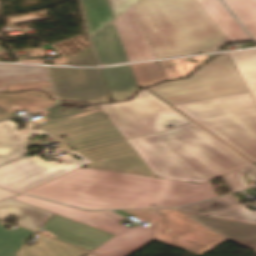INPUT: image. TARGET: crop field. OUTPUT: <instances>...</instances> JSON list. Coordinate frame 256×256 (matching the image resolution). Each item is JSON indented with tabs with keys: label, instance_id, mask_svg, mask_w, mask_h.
Wrapping results in <instances>:
<instances>
[{
	"label": "crop field",
	"instance_id": "crop-field-3",
	"mask_svg": "<svg viewBox=\"0 0 256 256\" xmlns=\"http://www.w3.org/2000/svg\"><path fill=\"white\" fill-rule=\"evenodd\" d=\"M127 141L158 178L204 183L251 165L194 123Z\"/></svg>",
	"mask_w": 256,
	"mask_h": 256
},
{
	"label": "crop field",
	"instance_id": "crop-field-2",
	"mask_svg": "<svg viewBox=\"0 0 256 256\" xmlns=\"http://www.w3.org/2000/svg\"><path fill=\"white\" fill-rule=\"evenodd\" d=\"M12 199L116 235L92 252L100 256H129L153 240L202 256L227 241L175 209L122 211L153 224L128 229L119 224L126 219L111 211L86 212L24 195Z\"/></svg>",
	"mask_w": 256,
	"mask_h": 256
},
{
	"label": "crop field",
	"instance_id": "crop-field-15",
	"mask_svg": "<svg viewBox=\"0 0 256 256\" xmlns=\"http://www.w3.org/2000/svg\"><path fill=\"white\" fill-rule=\"evenodd\" d=\"M101 65L128 62L113 22L91 37Z\"/></svg>",
	"mask_w": 256,
	"mask_h": 256
},
{
	"label": "crop field",
	"instance_id": "crop-field-30",
	"mask_svg": "<svg viewBox=\"0 0 256 256\" xmlns=\"http://www.w3.org/2000/svg\"><path fill=\"white\" fill-rule=\"evenodd\" d=\"M28 88H35L45 91L51 98H55L54 91L50 82L42 83H30V84H18V85H6V91H21Z\"/></svg>",
	"mask_w": 256,
	"mask_h": 256
},
{
	"label": "crop field",
	"instance_id": "crop-field-38",
	"mask_svg": "<svg viewBox=\"0 0 256 256\" xmlns=\"http://www.w3.org/2000/svg\"><path fill=\"white\" fill-rule=\"evenodd\" d=\"M89 256H97V255L91 254V255H89Z\"/></svg>",
	"mask_w": 256,
	"mask_h": 256
},
{
	"label": "crop field",
	"instance_id": "crop-field-4",
	"mask_svg": "<svg viewBox=\"0 0 256 256\" xmlns=\"http://www.w3.org/2000/svg\"><path fill=\"white\" fill-rule=\"evenodd\" d=\"M133 8L157 58L218 51L228 42L195 0H109Z\"/></svg>",
	"mask_w": 256,
	"mask_h": 256
},
{
	"label": "crop field",
	"instance_id": "crop-field-32",
	"mask_svg": "<svg viewBox=\"0 0 256 256\" xmlns=\"http://www.w3.org/2000/svg\"><path fill=\"white\" fill-rule=\"evenodd\" d=\"M159 65H160L167 80L178 78L170 60L161 61V62H159Z\"/></svg>",
	"mask_w": 256,
	"mask_h": 256
},
{
	"label": "crop field",
	"instance_id": "crop-field-28",
	"mask_svg": "<svg viewBox=\"0 0 256 256\" xmlns=\"http://www.w3.org/2000/svg\"><path fill=\"white\" fill-rule=\"evenodd\" d=\"M227 208H231V206H229L223 200L217 198L189 206L180 207L179 209L188 213L208 215Z\"/></svg>",
	"mask_w": 256,
	"mask_h": 256
},
{
	"label": "crop field",
	"instance_id": "crop-field-16",
	"mask_svg": "<svg viewBox=\"0 0 256 256\" xmlns=\"http://www.w3.org/2000/svg\"><path fill=\"white\" fill-rule=\"evenodd\" d=\"M228 41H252L219 0H196Z\"/></svg>",
	"mask_w": 256,
	"mask_h": 256
},
{
	"label": "crop field",
	"instance_id": "crop-field-35",
	"mask_svg": "<svg viewBox=\"0 0 256 256\" xmlns=\"http://www.w3.org/2000/svg\"><path fill=\"white\" fill-rule=\"evenodd\" d=\"M16 195H18V194L0 189V202L7 199V198H12Z\"/></svg>",
	"mask_w": 256,
	"mask_h": 256
},
{
	"label": "crop field",
	"instance_id": "crop-field-37",
	"mask_svg": "<svg viewBox=\"0 0 256 256\" xmlns=\"http://www.w3.org/2000/svg\"><path fill=\"white\" fill-rule=\"evenodd\" d=\"M222 178H223V181H224L225 185H226L227 188L229 189L230 193H232L233 190H232V188L230 187V185H229L228 181L226 180L225 176H223Z\"/></svg>",
	"mask_w": 256,
	"mask_h": 256
},
{
	"label": "crop field",
	"instance_id": "crop-field-17",
	"mask_svg": "<svg viewBox=\"0 0 256 256\" xmlns=\"http://www.w3.org/2000/svg\"><path fill=\"white\" fill-rule=\"evenodd\" d=\"M101 72L113 102L128 99L138 90L130 65L103 68Z\"/></svg>",
	"mask_w": 256,
	"mask_h": 256
},
{
	"label": "crop field",
	"instance_id": "crop-field-39",
	"mask_svg": "<svg viewBox=\"0 0 256 256\" xmlns=\"http://www.w3.org/2000/svg\"><path fill=\"white\" fill-rule=\"evenodd\" d=\"M0 51H2V49L0 48Z\"/></svg>",
	"mask_w": 256,
	"mask_h": 256
},
{
	"label": "crop field",
	"instance_id": "crop-field-20",
	"mask_svg": "<svg viewBox=\"0 0 256 256\" xmlns=\"http://www.w3.org/2000/svg\"><path fill=\"white\" fill-rule=\"evenodd\" d=\"M49 81L44 66L0 64V91L5 84Z\"/></svg>",
	"mask_w": 256,
	"mask_h": 256
},
{
	"label": "crop field",
	"instance_id": "crop-field-27",
	"mask_svg": "<svg viewBox=\"0 0 256 256\" xmlns=\"http://www.w3.org/2000/svg\"><path fill=\"white\" fill-rule=\"evenodd\" d=\"M50 256H87L84 250L50 239L44 235L35 236Z\"/></svg>",
	"mask_w": 256,
	"mask_h": 256
},
{
	"label": "crop field",
	"instance_id": "crop-field-1",
	"mask_svg": "<svg viewBox=\"0 0 256 256\" xmlns=\"http://www.w3.org/2000/svg\"><path fill=\"white\" fill-rule=\"evenodd\" d=\"M23 194L85 209L176 207L217 194L204 184L78 168Z\"/></svg>",
	"mask_w": 256,
	"mask_h": 256
},
{
	"label": "crop field",
	"instance_id": "crop-field-33",
	"mask_svg": "<svg viewBox=\"0 0 256 256\" xmlns=\"http://www.w3.org/2000/svg\"><path fill=\"white\" fill-rule=\"evenodd\" d=\"M239 171H241L242 173H244L245 175H247L248 177H250L256 181V166L255 165L249 166V167L244 168Z\"/></svg>",
	"mask_w": 256,
	"mask_h": 256
},
{
	"label": "crop field",
	"instance_id": "crop-field-24",
	"mask_svg": "<svg viewBox=\"0 0 256 256\" xmlns=\"http://www.w3.org/2000/svg\"><path fill=\"white\" fill-rule=\"evenodd\" d=\"M6 221L0 219V256H15L19 248L34 234L18 226L13 231L4 228Z\"/></svg>",
	"mask_w": 256,
	"mask_h": 256
},
{
	"label": "crop field",
	"instance_id": "crop-field-18",
	"mask_svg": "<svg viewBox=\"0 0 256 256\" xmlns=\"http://www.w3.org/2000/svg\"><path fill=\"white\" fill-rule=\"evenodd\" d=\"M9 214L21 217L16 223L33 230H37L53 215V213L12 199L0 203V218L4 219Z\"/></svg>",
	"mask_w": 256,
	"mask_h": 256
},
{
	"label": "crop field",
	"instance_id": "crop-field-7",
	"mask_svg": "<svg viewBox=\"0 0 256 256\" xmlns=\"http://www.w3.org/2000/svg\"><path fill=\"white\" fill-rule=\"evenodd\" d=\"M171 105L247 93L228 53L202 66L189 79L149 88Z\"/></svg>",
	"mask_w": 256,
	"mask_h": 256
},
{
	"label": "crop field",
	"instance_id": "crop-field-22",
	"mask_svg": "<svg viewBox=\"0 0 256 256\" xmlns=\"http://www.w3.org/2000/svg\"><path fill=\"white\" fill-rule=\"evenodd\" d=\"M229 55L256 102V50L234 52Z\"/></svg>",
	"mask_w": 256,
	"mask_h": 256
},
{
	"label": "crop field",
	"instance_id": "crop-field-23",
	"mask_svg": "<svg viewBox=\"0 0 256 256\" xmlns=\"http://www.w3.org/2000/svg\"><path fill=\"white\" fill-rule=\"evenodd\" d=\"M256 40V0H222Z\"/></svg>",
	"mask_w": 256,
	"mask_h": 256
},
{
	"label": "crop field",
	"instance_id": "crop-field-36",
	"mask_svg": "<svg viewBox=\"0 0 256 256\" xmlns=\"http://www.w3.org/2000/svg\"><path fill=\"white\" fill-rule=\"evenodd\" d=\"M29 250L24 244L15 255L16 256H33L32 253Z\"/></svg>",
	"mask_w": 256,
	"mask_h": 256
},
{
	"label": "crop field",
	"instance_id": "crop-field-5",
	"mask_svg": "<svg viewBox=\"0 0 256 256\" xmlns=\"http://www.w3.org/2000/svg\"><path fill=\"white\" fill-rule=\"evenodd\" d=\"M173 107L256 163V104L250 93Z\"/></svg>",
	"mask_w": 256,
	"mask_h": 256
},
{
	"label": "crop field",
	"instance_id": "crop-field-8",
	"mask_svg": "<svg viewBox=\"0 0 256 256\" xmlns=\"http://www.w3.org/2000/svg\"><path fill=\"white\" fill-rule=\"evenodd\" d=\"M98 106L125 139L191 122L146 89L130 101Z\"/></svg>",
	"mask_w": 256,
	"mask_h": 256
},
{
	"label": "crop field",
	"instance_id": "crop-field-6",
	"mask_svg": "<svg viewBox=\"0 0 256 256\" xmlns=\"http://www.w3.org/2000/svg\"><path fill=\"white\" fill-rule=\"evenodd\" d=\"M46 111L54 121L42 129L54 136L67 134L62 142L75 150L124 139L97 105L59 101Z\"/></svg>",
	"mask_w": 256,
	"mask_h": 256
},
{
	"label": "crop field",
	"instance_id": "crop-field-21",
	"mask_svg": "<svg viewBox=\"0 0 256 256\" xmlns=\"http://www.w3.org/2000/svg\"><path fill=\"white\" fill-rule=\"evenodd\" d=\"M90 37L113 20L106 0H81Z\"/></svg>",
	"mask_w": 256,
	"mask_h": 256
},
{
	"label": "crop field",
	"instance_id": "crop-field-25",
	"mask_svg": "<svg viewBox=\"0 0 256 256\" xmlns=\"http://www.w3.org/2000/svg\"><path fill=\"white\" fill-rule=\"evenodd\" d=\"M221 199H223L225 202H227L233 208L227 209L224 211H220V212L211 214L209 216L256 223V212H252L245 207L247 205H250V203L241 205V204H239L240 201H238L236 198H234L231 195L221 197ZM241 211H244V212L242 213Z\"/></svg>",
	"mask_w": 256,
	"mask_h": 256
},
{
	"label": "crop field",
	"instance_id": "crop-field-10",
	"mask_svg": "<svg viewBox=\"0 0 256 256\" xmlns=\"http://www.w3.org/2000/svg\"><path fill=\"white\" fill-rule=\"evenodd\" d=\"M59 98L86 103L108 102L110 98L99 69L47 67Z\"/></svg>",
	"mask_w": 256,
	"mask_h": 256
},
{
	"label": "crop field",
	"instance_id": "crop-field-12",
	"mask_svg": "<svg viewBox=\"0 0 256 256\" xmlns=\"http://www.w3.org/2000/svg\"><path fill=\"white\" fill-rule=\"evenodd\" d=\"M113 22L129 62L155 58L132 8Z\"/></svg>",
	"mask_w": 256,
	"mask_h": 256
},
{
	"label": "crop field",
	"instance_id": "crop-field-11",
	"mask_svg": "<svg viewBox=\"0 0 256 256\" xmlns=\"http://www.w3.org/2000/svg\"><path fill=\"white\" fill-rule=\"evenodd\" d=\"M39 233L89 252L114 236L56 214L46 222Z\"/></svg>",
	"mask_w": 256,
	"mask_h": 256
},
{
	"label": "crop field",
	"instance_id": "crop-field-13",
	"mask_svg": "<svg viewBox=\"0 0 256 256\" xmlns=\"http://www.w3.org/2000/svg\"><path fill=\"white\" fill-rule=\"evenodd\" d=\"M18 127V124L10 120L0 123V164L29 153L26 150L29 146L25 140L33 134H45L56 139L32 122H27L28 132L26 134L19 133L17 131Z\"/></svg>",
	"mask_w": 256,
	"mask_h": 256
},
{
	"label": "crop field",
	"instance_id": "crop-field-26",
	"mask_svg": "<svg viewBox=\"0 0 256 256\" xmlns=\"http://www.w3.org/2000/svg\"><path fill=\"white\" fill-rule=\"evenodd\" d=\"M131 66L138 85L141 87L164 80V75L156 62L138 63Z\"/></svg>",
	"mask_w": 256,
	"mask_h": 256
},
{
	"label": "crop field",
	"instance_id": "crop-field-31",
	"mask_svg": "<svg viewBox=\"0 0 256 256\" xmlns=\"http://www.w3.org/2000/svg\"><path fill=\"white\" fill-rule=\"evenodd\" d=\"M226 178L229 181L234 192L243 190L244 187H246V189H247L248 187L246 185L255 182V181L251 180L250 178L243 176V174H240L238 172V170L226 175Z\"/></svg>",
	"mask_w": 256,
	"mask_h": 256
},
{
	"label": "crop field",
	"instance_id": "crop-field-9",
	"mask_svg": "<svg viewBox=\"0 0 256 256\" xmlns=\"http://www.w3.org/2000/svg\"><path fill=\"white\" fill-rule=\"evenodd\" d=\"M68 152V151H67ZM69 155L60 157L64 163L56 161H44L38 156L19 159L16 162L0 167V186L9 190L23 193L40 184L61 176L82 165L90 163L76 152H68ZM79 157L76 160L72 155Z\"/></svg>",
	"mask_w": 256,
	"mask_h": 256
},
{
	"label": "crop field",
	"instance_id": "crop-field-19",
	"mask_svg": "<svg viewBox=\"0 0 256 256\" xmlns=\"http://www.w3.org/2000/svg\"><path fill=\"white\" fill-rule=\"evenodd\" d=\"M54 100L47 99L40 91H27L15 94L0 93V107L11 113L25 109L28 112L41 110L54 104Z\"/></svg>",
	"mask_w": 256,
	"mask_h": 256
},
{
	"label": "crop field",
	"instance_id": "crop-field-29",
	"mask_svg": "<svg viewBox=\"0 0 256 256\" xmlns=\"http://www.w3.org/2000/svg\"><path fill=\"white\" fill-rule=\"evenodd\" d=\"M68 65L73 66H97L91 48H87L77 56L66 57Z\"/></svg>",
	"mask_w": 256,
	"mask_h": 256
},
{
	"label": "crop field",
	"instance_id": "crop-field-34",
	"mask_svg": "<svg viewBox=\"0 0 256 256\" xmlns=\"http://www.w3.org/2000/svg\"><path fill=\"white\" fill-rule=\"evenodd\" d=\"M217 55V54H216ZM215 55H210V56H203V57H195V58H191L195 67L199 66L201 63H203L204 61L208 60L209 58L213 57Z\"/></svg>",
	"mask_w": 256,
	"mask_h": 256
},
{
	"label": "crop field",
	"instance_id": "crop-field-14",
	"mask_svg": "<svg viewBox=\"0 0 256 256\" xmlns=\"http://www.w3.org/2000/svg\"><path fill=\"white\" fill-rule=\"evenodd\" d=\"M190 217L212 228L229 239L256 250V224L189 214Z\"/></svg>",
	"mask_w": 256,
	"mask_h": 256
}]
</instances>
